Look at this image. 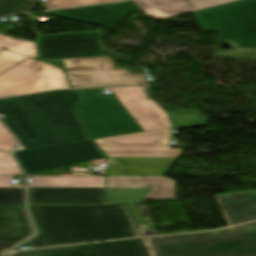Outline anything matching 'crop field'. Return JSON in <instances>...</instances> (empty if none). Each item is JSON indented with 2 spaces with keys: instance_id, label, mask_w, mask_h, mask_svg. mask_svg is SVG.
<instances>
[{
  "instance_id": "obj_1",
  "label": "crop field",
  "mask_w": 256,
  "mask_h": 256,
  "mask_svg": "<svg viewBox=\"0 0 256 256\" xmlns=\"http://www.w3.org/2000/svg\"><path fill=\"white\" fill-rule=\"evenodd\" d=\"M80 96L56 91L0 100L1 118L25 149L87 139L72 108Z\"/></svg>"
},
{
  "instance_id": "obj_2",
  "label": "crop field",
  "mask_w": 256,
  "mask_h": 256,
  "mask_svg": "<svg viewBox=\"0 0 256 256\" xmlns=\"http://www.w3.org/2000/svg\"><path fill=\"white\" fill-rule=\"evenodd\" d=\"M28 208L39 231L33 248L139 236L124 205Z\"/></svg>"
},
{
  "instance_id": "obj_3",
  "label": "crop field",
  "mask_w": 256,
  "mask_h": 256,
  "mask_svg": "<svg viewBox=\"0 0 256 256\" xmlns=\"http://www.w3.org/2000/svg\"><path fill=\"white\" fill-rule=\"evenodd\" d=\"M146 239L153 256H256V222Z\"/></svg>"
},
{
  "instance_id": "obj_4",
  "label": "crop field",
  "mask_w": 256,
  "mask_h": 256,
  "mask_svg": "<svg viewBox=\"0 0 256 256\" xmlns=\"http://www.w3.org/2000/svg\"><path fill=\"white\" fill-rule=\"evenodd\" d=\"M203 32H220L219 40L256 48V0H240L194 12Z\"/></svg>"
},
{
  "instance_id": "obj_5",
  "label": "crop field",
  "mask_w": 256,
  "mask_h": 256,
  "mask_svg": "<svg viewBox=\"0 0 256 256\" xmlns=\"http://www.w3.org/2000/svg\"><path fill=\"white\" fill-rule=\"evenodd\" d=\"M83 98L75 111L91 139L143 131L115 96L76 90Z\"/></svg>"
},
{
  "instance_id": "obj_6",
  "label": "crop field",
  "mask_w": 256,
  "mask_h": 256,
  "mask_svg": "<svg viewBox=\"0 0 256 256\" xmlns=\"http://www.w3.org/2000/svg\"><path fill=\"white\" fill-rule=\"evenodd\" d=\"M61 67L68 75L72 88L145 85L143 74L132 75L108 57L45 61ZM91 67V69H88Z\"/></svg>"
},
{
  "instance_id": "obj_7",
  "label": "crop field",
  "mask_w": 256,
  "mask_h": 256,
  "mask_svg": "<svg viewBox=\"0 0 256 256\" xmlns=\"http://www.w3.org/2000/svg\"><path fill=\"white\" fill-rule=\"evenodd\" d=\"M69 88L62 71L29 58L0 74V97Z\"/></svg>"
},
{
  "instance_id": "obj_8",
  "label": "crop field",
  "mask_w": 256,
  "mask_h": 256,
  "mask_svg": "<svg viewBox=\"0 0 256 256\" xmlns=\"http://www.w3.org/2000/svg\"><path fill=\"white\" fill-rule=\"evenodd\" d=\"M28 175L104 158L90 140L15 152Z\"/></svg>"
},
{
  "instance_id": "obj_9",
  "label": "crop field",
  "mask_w": 256,
  "mask_h": 256,
  "mask_svg": "<svg viewBox=\"0 0 256 256\" xmlns=\"http://www.w3.org/2000/svg\"><path fill=\"white\" fill-rule=\"evenodd\" d=\"M170 129L133 133L93 141L107 157H179L183 152L182 149L169 148Z\"/></svg>"
},
{
  "instance_id": "obj_10",
  "label": "crop field",
  "mask_w": 256,
  "mask_h": 256,
  "mask_svg": "<svg viewBox=\"0 0 256 256\" xmlns=\"http://www.w3.org/2000/svg\"><path fill=\"white\" fill-rule=\"evenodd\" d=\"M100 32L38 35L40 60L105 56Z\"/></svg>"
},
{
  "instance_id": "obj_11",
  "label": "crop field",
  "mask_w": 256,
  "mask_h": 256,
  "mask_svg": "<svg viewBox=\"0 0 256 256\" xmlns=\"http://www.w3.org/2000/svg\"><path fill=\"white\" fill-rule=\"evenodd\" d=\"M9 256H151L145 239L101 242L11 253Z\"/></svg>"
},
{
  "instance_id": "obj_12",
  "label": "crop field",
  "mask_w": 256,
  "mask_h": 256,
  "mask_svg": "<svg viewBox=\"0 0 256 256\" xmlns=\"http://www.w3.org/2000/svg\"><path fill=\"white\" fill-rule=\"evenodd\" d=\"M110 90L144 131L171 127L165 112L143 94L142 87ZM146 97L149 99L148 101L145 99Z\"/></svg>"
},
{
  "instance_id": "obj_13",
  "label": "crop field",
  "mask_w": 256,
  "mask_h": 256,
  "mask_svg": "<svg viewBox=\"0 0 256 256\" xmlns=\"http://www.w3.org/2000/svg\"><path fill=\"white\" fill-rule=\"evenodd\" d=\"M28 204H105V188H29Z\"/></svg>"
},
{
  "instance_id": "obj_14",
  "label": "crop field",
  "mask_w": 256,
  "mask_h": 256,
  "mask_svg": "<svg viewBox=\"0 0 256 256\" xmlns=\"http://www.w3.org/2000/svg\"><path fill=\"white\" fill-rule=\"evenodd\" d=\"M139 10L131 1L104 6L48 12L51 15L113 29L129 13Z\"/></svg>"
},
{
  "instance_id": "obj_15",
  "label": "crop field",
  "mask_w": 256,
  "mask_h": 256,
  "mask_svg": "<svg viewBox=\"0 0 256 256\" xmlns=\"http://www.w3.org/2000/svg\"><path fill=\"white\" fill-rule=\"evenodd\" d=\"M33 234L24 206H0V252H8Z\"/></svg>"
},
{
  "instance_id": "obj_16",
  "label": "crop field",
  "mask_w": 256,
  "mask_h": 256,
  "mask_svg": "<svg viewBox=\"0 0 256 256\" xmlns=\"http://www.w3.org/2000/svg\"><path fill=\"white\" fill-rule=\"evenodd\" d=\"M147 16L159 20L237 0H131Z\"/></svg>"
},
{
  "instance_id": "obj_17",
  "label": "crop field",
  "mask_w": 256,
  "mask_h": 256,
  "mask_svg": "<svg viewBox=\"0 0 256 256\" xmlns=\"http://www.w3.org/2000/svg\"><path fill=\"white\" fill-rule=\"evenodd\" d=\"M108 159V176H162L175 158Z\"/></svg>"
},
{
  "instance_id": "obj_18",
  "label": "crop field",
  "mask_w": 256,
  "mask_h": 256,
  "mask_svg": "<svg viewBox=\"0 0 256 256\" xmlns=\"http://www.w3.org/2000/svg\"><path fill=\"white\" fill-rule=\"evenodd\" d=\"M107 187H153L144 199H176V182L165 177H107Z\"/></svg>"
},
{
  "instance_id": "obj_19",
  "label": "crop field",
  "mask_w": 256,
  "mask_h": 256,
  "mask_svg": "<svg viewBox=\"0 0 256 256\" xmlns=\"http://www.w3.org/2000/svg\"><path fill=\"white\" fill-rule=\"evenodd\" d=\"M29 187H105V177H28Z\"/></svg>"
},
{
  "instance_id": "obj_20",
  "label": "crop field",
  "mask_w": 256,
  "mask_h": 256,
  "mask_svg": "<svg viewBox=\"0 0 256 256\" xmlns=\"http://www.w3.org/2000/svg\"><path fill=\"white\" fill-rule=\"evenodd\" d=\"M151 188H107V204L140 203Z\"/></svg>"
},
{
  "instance_id": "obj_21",
  "label": "crop field",
  "mask_w": 256,
  "mask_h": 256,
  "mask_svg": "<svg viewBox=\"0 0 256 256\" xmlns=\"http://www.w3.org/2000/svg\"><path fill=\"white\" fill-rule=\"evenodd\" d=\"M221 209L256 206V191L216 195Z\"/></svg>"
},
{
  "instance_id": "obj_22",
  "label": "crop field",
  "mask_w": 256,
  "mask_h": 256,
  "mask_svg": "<svg viewBox=\"0 0 256 256\" xmlns=\"http://www.w3.org/2000/svg\"><path fill=\"white\" fill-rule=\"evenodd\" d=\"M2 49H7L30 58L38 57L37 46L35 42L13 40L11 38L0 35V50Z\"/></svg>"
},
{
  "instance_id": "obj_23",
  "label": "crop field",
  "mask_w": 256,
  "mask_h": 256,
  "mask_svg": "<svg viewBox=\"0 0 256 256\" xmlns=\"http://www.w3.org/2000/svg\"><path fill=\"white\" fill-rule=\"evenodd\" d=\"M169 115L174 127L204 123L208 122L209 120L208 118L193 109L171 112L169 113Z\"/></svg>"
},
{
  "instance_id": "obj_24",
  "label": "crop field",
  "mask_w": 256,
  "mask_h": 256,
  "mask_svg": "<svg viewBox=\"0 0 256 256\" xmlns=\"http://www.w3.org/2000/svg\"><path fill=\"white\" fill-rule=\"evenodd\" d=\"M222 211L229 226L256 220V207Z\"/></svg>"
},
{
  "instance_id": "obj_25",
  "label": "crop field",
  "mask_w": 256,
  "mask_h": 256,
  "mask_svg": "<svg viewBox=\"0 0 256 256\" xmlns=\"http://www.w3.org/2000/svg\"><path fill=\"white\" fill-rule=\"evenodd\" d=\"M35 0H0V16L27 12Z\"/></svg>"
},
{
  "instance_id": "obj_26",
  "label": "crop field",
  "mask_w": 256,
  "mask_h": 256,
  "mask_svg": "<svg viewBox=\"0 0 256 256\" xmlns=\"http://www.w3.org/2000/svg\"><path fill=\"white\" fill-rule=\"evenodd\" d=\"M25 189L0 188V205H24Z\"/></svg>"
},
{
  "instance_id": "obj_27",
  "label": "crop field",
  "mask_w": 256,
  "mask_h": 256,
  "mask_svg": "<svg viewBox=\"0 0 256 256\" xmlns=\"http://www.w3.org/2000/svg\"><path fill=\"white\" fill-rule=\"evenodd\" d=\"M122 0H47L43 2L46 10H53L71 6L87 5V4H96L104 2H115Z\"/></svg>"
},
{
  "instance_id": "obj_28",
  "label": "crop field",
  "mask_w": 256,
  "mask_h": 256,
  "mask_svg": "<svg viewBox=\"0 0 256 256\" xmlns=\"http://www.w3.org/2000/svg\"><path fill=\"white\" fill-rule=\"evenodd\" d=\"M0 176H22L10 152H0Z\"/></svg>"
},
{
  "instance_id": "obj_29",
  "label": "crop field",
  "mask_w": 256,
  "mask_h": 256,
  "mask_svg": "<svg viewBox=\"0 0 256 256\" xmlns=\"http://www.w3.org/2000/svg\"><path fill=\"white\" fill-rule=\"evenodd\" d=\"M25 58L26 57L12 53L7 50L0 51V73Z\"/></svg>"
},
{
  "instance_id": "obj_30",
  "label": "crop field",
  "mask_w": 256,
  "mask_h": 256,
  "mask_svg": "<svg viewBox=\"0 0 256 256\" xmlns=\"http://www.w3.org/2000/svg\"><path fill=\"white\" fill-rule=\"evenodd\" d=\"M16 145V140L0 123V151H11Z\"/></svg>"
},
{
  "instance_id": "obj_31",
  "label": "crop field",
  "mask_w": 256,
  "mask_h": 256,
  "mask_svg": "<svg viewBox=\"0 0 256 256\" xmlns=\"http://www.w3.org/2000/svg\"><path fill=\"white\" fill-rule=\"evenodd\" d=\"M136 226L138 225H141V224H144V225H147L148 226V229L147 230H150V229H154L153 225H152V222L150 219H147V220H142L137 208L135 205H126ZM155 230V229H154Z\"/></svg>"
},
{
  "instance_id": "obj_32",
  "label": "crop field",
  "mask_w": 256,
  "mask_h": 256,
  "mask_svg": "<svg viewBox=\"0 0 256 256\" xmlns=\"http://www.w3.org/2000/svg\"><path fill=\"white\" fill-rule=\"evenodd\" d=\"M13 177H0V187H10Z\"/></svg>"
},
{
  "instance_id": "obj_33",
  "label": "crop field",
  "mask_w": 256,
  "mask_h": 256,
  "mask_svg": "<svg viewBox=\"0 0 256 256\" xmlns=\"http://www.w3.org/2000/svg\"><path fill=\"white\" fill-rule=\"evenodd\" d=\"M206 124H207V123H204V124H197V125H191V126H184V127H177V128H174L173 130L182 129V128H188V127L201 126V125H206Z\"/></svg>"
},
{
  "instance_id": "obj_34",
  "label": "crop field",
  "mask_w": 256,
  "mask_h": 256,
  "mask_svg": "<svg viewBox=\"0 0 256 256\" xmlns=\"http://www.w3.org/2000/svg\"><path fill=\"white\" fill-rule=\"evenodd\" d=\"M20 147V146H19ZM24 148L21 146L20 148L16 149L15 151L17 150H23Z\"/></svg>"
},
{
  "instance_id": "obj_35",
  "label": "crop field",
  "mask_w": 256,
  "mask_h": 256,
  "mask_svg": "<svg viewBox=\"0 0 256 256\" xmlns=\"http://www.w3.org/2000/svg\"><path fill=\"white\" fill-rule=\"evenodd\" d=\"M0 256H5V254H0Z\"/></svg>"
}]
</instances>
